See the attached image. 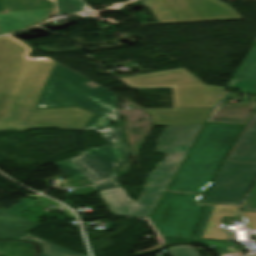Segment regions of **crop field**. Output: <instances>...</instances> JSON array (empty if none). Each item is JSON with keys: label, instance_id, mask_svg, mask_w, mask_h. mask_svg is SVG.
I'll list each match as a JSON object with an SVG mask.
<instances>
[{"label": "crop field", "instance_id": "crop-field-1", "mask_svg": "<svg viewBox=\"0 0 256 256\" xmlns=\"http://www.w3.org/2000/svg\"><path fill=\"white\" fill-rule=\"evenodd\" d=\"M243 126L205 123L150 217L168 241H190L204 205L198 204Z\"/></svg>", "mask_w": 256, "mask_h": 256}, {"label": "crop field", "instance_id": "crop-field-2", "mask_svg": "<svg viewBox=\"0 0 256 256\" xmlns=\"http://www.w3.org/2000/svg\"><path fill=\"white\" fill-rule=\"evenodd\" d=\"M202 125L166 126L156 143V152L167 154L149 173L138 199H130L122 187L100 192L112 214L148 217L153 206L176 173L185 153Z\"/></svg>", "mask_w": 256, "mask_h": 256}, {"label": "crop field", "instance_id": "crop-field-3", "mask_svg": "<svg viewBox=\"0 0 256 256\" xmlns=\"http://www.w3.org/2000/svg\"><path fill=\"white\" fill-rule=\"evenodd\" d=\"M32 50L11 35L0 37V95L12 94L17 106L37 104L56 63L30 57Z\"/></svg>", "mask_w": 256, "mask_h": 256}, {"label": "crop field", "instance_id": "crop-field-4", "mask_svg": "<svg viewBox=\"0 0 256 256\" xmlns=\"http://www.w3.org/2000/svg\"><path fill=\"white\" fill-rule=\"evenodd\" d=\"M76 105L95 113L84 130L118 122L117 95L57 63L37 108Z\"/></svg>", "mask_w": 256, "mask_h": 256}, {"label": "crop field", "instance_id": "crop-field-5", "mask_svg": "<svg viewBox=\"0 0 256 256\" xmlns=\"http://www.w3.org/2000/svg\"><path fill=\"white\" fill-rule=\"evenodd\" d=\"M110 129H113L110 137L104 138L107 145L82 151L78 157L55 164L64 174L77 180L87 178L92 184L118 177L115 168L128 161L129 153L127 145L121 140L122 128Z\"/></svg>", "mask_w": 256, "mask_h": 256}, {"label": "crop field", "instance_id": "crop-field-6", "mask_svg": "<svg viewBox=\"0 0 256 256\" xmlns=\"http://www.w3.org/2000/svg\"><path fill=\"white\" fill-rule=\"evenodd\" d=\"M58 14H74L89 6L83 0H55ZM55 14L47 0H0V34L15 32L48 20Z\"/></svg>", "mask_w": 256, "mask_h": 256}, {"label": "crop field", "instance_id": "crop-field-7", "mask_svg": "<svg viewBox=\"0 0 256 256\" xmlns=\"http://www.w3.org/2000/svg\"><path fill=\"white\" fill-rule=\"evenodd\" d=\"M160 24L243 19L218 0H151Z\"/></svg>", "mask_w": 256, "mask_h": 256}, {"label": "crop field", "instance_id": "crop-field-8", "mask_svg": "<svg viewBox=\"0 0 256 256\" xmlns=\"http://www.w3.org/2000/svg\"><path fill=\"white\" fill-rule=\"evenodd\" d=\"M256 176V163L224 161L200 203L239 204Z\"/></svg>", "mask_w": 256, "mask_h": 256}, {"label": "crop field", "instance_id": "crop-field-9", "mask_svg": "<svg viewBox=\"0 0 256 256\" xmlns=\"http://www.w3.org/2000/svg\"><path fill=\"white\" fill-rule=\"evenodd\" d=\"M92 114L78 107L43 109L42 112L28 113L27 117L3 123L0 121V130L14 128L17 131L41 127L44 120L50 121L56 117L66 116L71 120L67 126L70 129L82 130Z\"/></svg>", "mask_w": 256, "mask_h": 256}, {"label": "crop field", "instance_id": "crop-field-10", "mask_svg": "<svg viewBox=\"0 0 256 256\" xmlns=\"http://www.w3.org/2000/svg\"><path fill=\"white\" fill-rule=\"evenodd\" d=\"M238 206L207 205L194 238L227 240L233 225Z\"/></svg>", "mask_w": 256, "mask_h": 256}, {"label": "crop field", "instance_id": "crop-field-11", "mask_svg": "<svg viewBox=\"0 0 256 256\" xmlns=\"http://www.w3.org/2000/svg\"><path fill=\"white\" fill-rule=\"evenodd\" d=\"M132 88L205 85L184 68L123 78Z\"/></svg>", "mask_w": 256, "mask_h": 256}, {"label": "crop field", "instance_id": "crop-field-12", "mask_svg": "<svg viewBox=\"0 0 256 256\" xmlns=\"http://www.w3.org/2000/svg\"><path fill=\"white\" fill-rule=\"evenodd\" d=\"M238 96L239 93L224 91L207 121L244 124L250 110L256 106V96H253L251 101L247 103L252 95L244 94L239 105H227L230 97Z\"/></svg>", "mask_w": 256, "mask_h": 256}, {"label": "crop field", "instance_id": "crop-field-13", "mask_svg": "<svg viewBox=\"0 0 256 256\" xmlns=\"http://www.w3.org/2000/svg\"><path fill=\"white\" fill-rule=\"evenodd\" d=\"M223 89L215 86L172 87L174 108L213 107Z\"/></svg>", "mask_w": 256, "mask_h": 256}, {"label": "crop field", "instance_id": "crop-field-14", "mask_svg": "<svg viewBox=\"0 0 256 256\" xmlns=\"http://www.w3.org/2000/svg\"><path fill=\"white\" fill-rule=\"evenodd\" d=\"M155 125L204 124L211 108L145 109Z\"/></svg>", "mask_w": 256, "mask_h": 256}, {"label": "crop field", "instance_id": "crop-field-15", "mask_svg": "<svg viewBox=\"0 0 256 256\" xmlns=\"http://www.w3.org/2000/svg\"><path fill=\"white\" fill-rule=\"evenodd\" d=\"M226 160L256 162V112L253 113Z\"/></svg>", "mask_w": 256, "mask_h": 256}, {"label": "crop field", "instance_id": "crop-field-16", "mask_svg": "<svg viewBox=\"0 0 256 256\" xmlns=\"http://www.w3.org/2000/svg\"><path fill=\"white\" fill-rule=\"evenodd\" d=\"M0 210V238L19 239L39 223Z\"/></svg>", "mask_w": 256, "mask_h": 256}, {"label": "crop field", "instance_id": "crop-field-17", "mask_svg": "<svg viewBox=\"0 0 256 256\" xmlns=\"http://www.w3.org/2000/svg\"><path fill=\"white\" fill-rule=\"evenodd\" d=\"M21 240L35 241L41 245L40 256H81V254L69 251L63 247L45 241L29 233L24 235Z\"/></svg>", "mask_w": 256, "mask_h": 256}, {"label": "crop field", "instance_id": "crop-field-18", "mask_svg": "<svg viewBox=\"0 0 256 256\" xmlns=\"http://www.w3.org/2000/svg\"><path fill=\"white\" fill-rule=\"evenodd\" d=\"M193 241L207 246H214L213 248L219 253L220 256H237L242 254L240 249L230 248V242L228 241L202 239H194Z\"/></svg>", "mask_w": 256, "mask_h": 256}, {"label": "crop field", "instance_id": "crop-field-19", "mask_svg": "<svg viewBox=\"0 0 256 256\" xmlns=\"http://www.w3.org/2000/svg\"><path fill=\"white\" fill-rule=\"evenodd\" d=\"M242 64L250 65L243 73H235L233 78L256 81V48H251Z\"/></svg>", "mask_w": 256, "mask_h": 256}, {"label": "crop field", "instance_id": "crop-field-20", "mask_svg": "<svg viewBox=\"0 0 256 256\" xmlns=\"http://www.w3.org/2000/svg\"><path fill=\"white\" fill-rule=\"evenodd\" d=\"M14 107L9 95L0 96V120L14 116Z\"/></svg>", "mask_w": 256, "mask_h": 256}, {"label": "crop field", "instance_id": "crop-field-21", "mask_svg": "<svg viewBox=\"0 0 256 256\" xmlns=\"http://www.w3.org/2000/svg\"><path fill=\"white\" fill-rule=\"evenodd\" d=\"M229 87L241 89V92L256 94V82L231 79Z\"/></svg>", "mask_w": 256, "mask_h": 256}, {"label": "crop field", "instance_id": "crop-field-22", "mask_svg": "<svg viewBox=\"0 0 256 256\" xmlns=\"http://www.w3.org/2000/svg\"><path fill=\"white\" fill-rule=\"evenodd\" d=\"M171 256H199L193 246H172L168 248Z\"/></svg>", "mask_w": 256, "mask_h": 256}, {"label": "crop field", "instance_id": "crop-field-23", "mask_svg": "<svg viewBox=\"0 0 256 256\" xmlns=\"http://www.w3.org/2000/svg\"><path fill=\"white\" fill-rule=\"evenodd\" d=\"M243 211H256V182L243 203Z\"/></svg>", "mask_w": 256, "mask_h": 256}, {"label": "crop field", "instance_id": "crop-field-24", "mask_svg": "<svg viewBox=\"0 0 256 256\" xmlns=\"http://www.w3.org/2000/svg\"><path fill=\"white\" fill-rule=\"evenodd\" d=\"M11 98H12V96H11ZM12 102H13V105L15 107L16 116H14L12 118H9V119H6V120H2L3 122L14 120V119H18V118H22V117L26 116L25 113H27V112H37V111H41L42 110V109L34 110L35 106L16 107V105H15V103L13 101V98H12Z\"/></svg>", "mask_w": 256, "mask_h": 256}, {"label": "crop field", "instance_id": "crop-field-25", "mask_svg": "<svg viewBox=\"0 0 256 256\" xmlns=\"http://www.w3.org/2000/svg\"><path fill=\"white\" fill-rule=\"evenodd\" d=\"M241 215L249 229L256 231V212H241Z\"/></svg>", "mask_w": 256, "mask_h": 256}, {"label": "crop field", "instance_id": "crop-field-26", "mask_svg": "<svg viewBox=\"0 0 256 256\" xmlns=\"http://www.w3.org/2000/svg\"><path fill=\"white\" fill-rule=\"evenodd\" d=\"M31 205H33V203L26 199L20 202L19 204L15 205L14 207L8 209L6 212L16 215L21 211L25 210L26 208L30 207Z\"/></svg>", "mask_w": 256, "mask_h": 256}, {"label": "crop field", "instance_id": "crop-field-27", "mask_svg": "<svg viewBox=\"0 0 256 256\" xmlns=\"http://www.w3.org/2000/svg\"><path fill=\"white\" fill-rule=\"evenodd\" d=\"M70 120H68L66 117H60L57 118V120L55 121H51V122H44L42 127L45 126H57L61 129H66L65 127L69 124Z\"/></svg>", "mask_w": 256, "mask_h": 256}, {"label": "crop field", "instance_id": "crop-field-28", "mask_svg": "<svg viewBox=\"0 0 256 256\" xmlns=\"http://www.w3.org/2000/svg\"><path fill=\"white\" fill-rule=\"evenodd\" d=\"M116 187H120V185L118 184V182L116 180L107 182V183H103V184H99V185H95L92 186L94 191H100V190H105V189H110V188H116Z\"/></svg>", "mask_w": 256, "mask_h": 256}, {"label": "crop field", "instance_id": "crop-field-29", "mask_svg": "<svg viewBox=\"0 0 256 256\" xmlns=\"http://www.w3.org/2000/svg\"><path fill=\"white\" fill-rule=\"evenodd\" d=\"M147 221L148 223L151 225V227L154 229V231L157 233L158 236L157 237V240L158 242H165V240L162 238V236L159 234V232L157 231V229L155 228V226L152 224V222L150 221L149 218H147Z\"/></svg>", "mask_w": 256, "mask_h": 256}, {"label": "crop field", "instance_id": "crop-field-30", "mask_svg": "<svg viewBox=\"0 0 256 256\" xmlns=\"http://www.w3.org/2000/svg\"><path fill=\"white\" fill-rule=\"evenodd\" d=\"M248 67V65H242L237 69L236 72H243L246 68Z\"/></svg>", "mask_w": 256, "mask_h": 256}, {"label": "crop field", "instance_id": "crop-field-31", "mask_svg": "<svg viewBox=\"0 0 256 256\" xmlns=\"http://www.w3.org/2000/svg\"><path fill=\"white\" fill-rule=\"evenodd\" d=\"M100 131L104 132V137H108L110 132H111V130H109V129H107V130H100Z\"/></svg>", "mask_w": 256, "mask_h": 256}, {"label": "crop field", "instance_id": "crop-field-32", "mask_svg": "<svg viewBox=\"0 0 256 256\" xmlns=\"http://www.w3.org/2000/svg\"><path fill=\"white\" fill-rule=\"evenodd\" d=\"M145 1H147V2H148V4L150 3V0H145Z\"/></svg>", "mask_w": 256, "mask_h": 256}, {"label": "crop field", "instance_id": "crop-field-33", "mask_svg": "<svg viewBox=\"0 0 256 256\" xmlns=\"http://www.w3.org/2000/svg\"><path fill=\"white\" fill-rule=\"evenodd\" d=\"M255 256H256V254H255Z\"/></svg>", "mask_w": 256, "mask_h": 256}, {"label": "crop field", "instance_id": "crop-field-34", "mask_svg": "<svg viewBox=\"0 0 256 256\" xmlns=\"http://www.w3.org/2000/svg\"><path fill=\"white\" fill-rule=\"evenodd\" d=\"M255 111H256V109H255Z\"/></svg>", "mask_w": 256, "mask_h": 256}]
</instances>
